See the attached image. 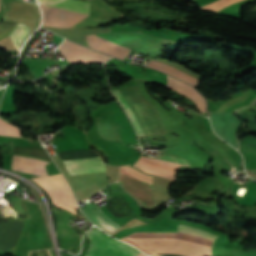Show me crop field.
I'll return each mask as SVG.
<instances>
[{
  "instance_id": "crop-field-8",
  "label": "crop field",
  "mask_w": 256,
  "mask_h": 256,
  "mask_svg": "<svg viewBox=\"0 0 256 256\" xmlns=\"http://www.w3.org/2000/svg\"><path fill=\"white\" fill-rule=\"evenodd\" d=\"M87 208L83 209L86 214L91 218V220L99 227L103 228L105 231L109 232L110 234L117 231L121 226L117 223L110 220L96 204H89L86 206ZM82 210V211H83ZM83 211V212H84ZM84 212V213H85ZM87 216V217H88ZM88 217V218H89ZM89 218V219H90ZM102 229V230H103ZM109 234V235H110Z\"/></svg>"
},
{
  "instance_id": "crop-field-10",
  "label": "crop field",
  "mask_w": 256,
  "mask_h": 256,
  "mask_svg": "<svg viewBox=\"0 0 256 256\" xmlns=\"http://www.w3.org/2000/svg\"><path fill=\"white\" fill-rule=\"evenodd\" d=\"M86 39L91 48L106 53L108 55H113L122 60H124L129 53V50L116 46L112 43L97 39L91 35H87Z\"/></svg>"
},
{
  "instance_id": "crop-field-16",
  "label": "crop field",
  "mask_w": 256,
  "mask_h": 256,
  "mask_svg": "<svg viewBox=\"0 0 256 256\" xmlns=\"http://www.w3.org/2000/svg\"><path fill=\"white\" fill-rule=\"evenodd\" d=\"M0 135H12L21 137L20 129L0 119Z\"/></svg>"
},
{
  "instance_id": "crop-field-6",
  "label": "crop field",
  "mask_w": 256,
  "mask_h": 256,
  "mask_svg": "<svg viewBox=\"0 0 256 256\" xmlns=\"http://www.w3.org/2000/svg\"><path fill=\"white\" fill-rule=\"evenodd\" d=\"M58 49L60 53L64 55L66 60L69 61V63H102L110 58L101 53L78 46L66 39L62 42Z\"/></svg>"
},
{
  "instance_id": "crop-field-11",
  "label": "crop field",
  "mask_w": 256,
  "mask_h": 256,
  "mask_svg": "<svg viewBox=\"0 0 256 256\" xmlns=\"http://www.w3.org/2000/svg\"><path fill=\"white\" fill-rule=\"evenodd\" d=\"M69 175L105 172L103 161L65 164Z\"/></svg>"
},
{
  "instance_id": "crop-field-7",
  "label": "crop field",
  "mask_w": 256,
  "mask_h": 256,
  "mask_svg": "<svg viewBox=\"0 0 256 256\" xmlns=\"http://www.w3.org/2000/svg\"><path fill=\"white\" fill-rule=\"evenodd\" d=\"M40 6L44 14L42 25L65 28L87 17V15L74 13V12H70L62 9H57V8H53L45 5H40Z\"/></svg>"
},
{
  "instance_id": "crop-field-4",
  "label": "crop field",
  "mask_w": 256,
  "mask_h": 256,
  "mask_svg": "<svg viewBox=\"0 0 256 256\" xmlns=\"http://www.w3.org/2000/svg\"><path fill=\"white\" fill-rule=\"evenodd\" d=\"M14 152L31 155V156L43 157L45 159L50 160L45 150L14 147ZM47 163L49 162L35 159V158L14 155L13 162H12V170L25 172V173H33L37 176H48L44 167V165H46Z\"/></svg>"
},
{
  "instance_id": "crop-field-3",
  "label": "crop field",
  "mask_w": 256,
  "mask_h": 256,
  "mask_svg": "<svg viewBox=\"0 0 256 256\" xmlns=\"http://www.w3.org/2000/svg\"><path fill=\"white\" fill-rule=\"evenodd\" d=\"M121 172L127 174L141 189L153 198V189L151 186L152 177L127 166L121 167ZM118 181L123 185L126 191L136 197L143 205L149 207L155 206L154 200L141 190L128 176L121 173Z\"/></svg>"
},
{
  "instance_id": "crop-field-14",
  "label": "crop field",
  "mask_w": 256,
  "mask_h": 256,
  "mask_svg": "<svg viewBox=\"0 0 256 256\" xmlns=\"http://www.w3.org/2000/svg\"><path fill=\"white\" fill-rule=\"evenodd\" d=\"M29 33V28L26 25L20 23H18L14 30L11 32L9 36L17 51L19 50L20 43Z\"/></svg>"
},
{
  "instance_id": "crop-field-5",
  "label": "crop field",
  "mask_w": 256,
  "mask_h": 256,
  "mask_svg": "<svg viewBox=\"0 0 256 256\" xmlns=\"http://www.w3.org/2000/svg\"><path fill=\"white\" fill-rule=\"evenodd\" d=\"M155 159L173 162V163H177V164L189 165L186 161L179 159V158H175V157L160 155V156L156 157ZM155 159H149V158H145V157L141 156L139 158V160L134 164V166H136L146 172H149V173H152V174H155L158 176H162V177H165V178L175 181L176 173H177V169H178L179 165L164 162V161H159V160H155Z\"/></svg>"
},
{
  "instance_id": "crop-field-20",
  "label": "crop field",
  "mask_w": 256,
  "mask_h": 256,
  "mask_svg": "<svg viewBox=\"0 0 256 256\" xmlns=\"http://www.w3.org/2000/svg\"><path fill=\"white\" fill-rule=\"evenodd\" d=\"M138 256H147V255L140 252V254Z\"/></svg>"
},
{
  "instance_id": "crop-field-12",
  "label": "crop field",
  "mask_w": 256,
  "mask_h": 256,
  "mask_svg": "<svg viewBox=\"0 0 256 256\" xmlns=\"http://www.w3.org/2000/svg\"><path fill=\"white\" fill-rule=\"evenodd\" d=\"M147 67H151V68H155V69H159V70H163V71H166L182 80H185L191 84H193L194 86L197 84V79H195L193 76L175 68V67H172V66H169V65H165V64H162V63H159V62H155V61H152L150 60L148 62V64L146 65ZM165 72V73H166Z\"/></svg>"
},
{
  "instance_id": "crop-field-1",
  "label": "crop field",
  "mask_w": 256,
  "mask_h": 256,
  "mask_svg": "<svg viewBox=\"0 0 256 256\" xmlns=\"http://www.w3.org/2000/svg\"><path fill=\"white\" fill-rule=\"evenodd\" d=\"M133 89L137 93V95L140 97V99L143 101L145 106L148 108L150 113L152 114L154 120L156 121L157 125L159 126L161 132L165 131L163 123L159 117V114L157 110L141 95L139 92L137 86H133ZM132 87L125 88L124 90L127 92L129 98L131 99L133 105L135 106L137 112L139 113L141 119L143 120L148 132L150 135L160 133V130L158 126L156 125L155 121L153 120L151 114L146 109L144 104L141 102V100L138 98L136 93ZM123 89L114 90L113 95L118 100V102L122 105V107L127 112L128 116L130 117L133 126L136 130V133L138 137H144L148 136V133L138 115L136 112L134 106L132 105L130 99L128 98L126 92Z\"/></svg>"
},
{
  "instance_id": "crop-field-19",
  "label": "crop field",
  "mask_w": 256,
  "mask_h": 256,
  "mask_svg": "<svg viewBox=\"0 0 256 256\" xmlns=\"http://www.w3.org/2000/svg\"><path fill=\"white\" fill-rule=\"evenodd\" d=\"M53 1H56V0H39L40 3H48Z\"/></svg>"
},
{
  "instance_id": "crop-field-9",
  "label": "crop field",
  "mask_w": 256,
  "mask_h": 256,
  "mask_svg": "<svg viewBox=\"0 0 256 256\" xmlns=\"http://www.w3.org/2000/svg\"><path fill=\"white\" fill-rule=\"evenodd\" d=\"M166 78H167V87L191 98L194 101V103L197 105L201 113L206 111L205 109L206 103L204 99L199 95V93L194 88L188 86L187 84L181 81L173 79L167 75H166Z\"/></svg>"
},
{
  "instance_id": "crop-field-15",
  "label": "crop field",
  "mask_w": 256,
  "mask_h": 256,
  "mask_svg": "<svg viewBox=\"0 0 256 256\" xmlns=\"http://www.w3.org/2000/svg\"><path fill=\"white\" fill-rule=\"evenodd\" d=\"M178 232L207 237V238H211L213 240H215L217 238V236H215L207 231L200 230V229H197L194 227L183 226V225H179Z\"/></svg>"
},
{
  "instance_id": "crop-field-2",
  "label": "crop field",
  "mask_w": 256,
  "mask_h": 256,
  "mask_svg": "<svg viewBox=\"0 0 256 256\" xmlns=\"http://www.w3.org/2000/svg\"><path fill=\"white\" fill-rule=\"evenodd\" d=\"M86 235L91 241L90 250L86 256H137L140 252L97 229L90 230Z\"/></svg>"
},
{
  "instance_id": "crop-field-17",
  "label": "crop field",
  "mask_w": 256,
  "mask_h": 256,
  "mask_svg": "<svg viewBox=\"0 0 256 256\" xmlns=\"http://www.w3.org/2000/svg\"><path fill=\"white\" fill-rule=\"evenodd\" d=\"M236 1H239V0H216L208 5L203 6L202 8L219 11V10L233 4Z\"/></svg>"
},
{
  "instance_id": "crop-field-18",
  "label": "crop field",
  "mask_w": 256,
  "mask_h": 256,
  "mask_svg": "<svg viewBox=\"0 0 256 256\" xmlns=\"http://www.w3.org/2000/svg\"><path fill=\"white\" fill-rule=\"evenodd\" d=\"M14 25V23L0 22V38L5 36Z\"/></svg>"
},
{
  "instance_id": "crop-field-13",
  "label": "crop field",
  "mask_w": 256,
  "mask_h": 256,
  "mask_svg": "<svg viewBox=\"0 0 256 256\" xmlns=\"http://www.w3.org/2000/svg\"><path fill=\"white\" fill-rule=\"evenodd\" d=\"M50 6L89 15V4L77 0H63Z\"/></svg>"
}]
</instances>
